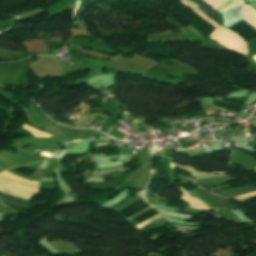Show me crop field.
Returning a JSON list of instances; mask_svg holds the SVG:
<instances>
[{
  "label": "crop field",
  "instance_id": "obj_13",
  "mask_svg": "<svg viewBox=\"0 0 256 256\" xmlns=\"http://www.w3.org/2000/svg\"><path fill=\"white\" fill-rule=\"evenodd\" d=\"M88 1H90V0H83L82 3H86V2H88Z\"/></svg>",
  "mask_w": 256,
  "mask_h": 256
},
{
  "label": "crop field",
  "instance_id": "obj_12",
  "mask_svg": "<svg viewBox=\"0 0 256 256\" xmlns=\"http://www.w3.org/2000/svg\"><path fill=\"white\" fill-rule=\"evenodd\" d=\"M69 2H70V6L72 7L75 3V0H69Z\"/></svg>",
  "mask_w": 256,
  "mask_h": 256
},
{
  "label": "crop field",
  "instance_id": "obj_3",
  "mask_svg": "<svg viewBox=\"0 0 256 256\" xmlns=\"http://www.w3.org/2000/svg\"><path fill=\"white\" fill-rule=\"evenodd\" d=\"M228 29L238 33L239 35L244 37L246 41L256 36V31L243 21Z\"/></svg>",
  "mask_w": 256,
  "mask_h": 256
},
{
  "label": "crop field",
  "instance_id": "obj_5",
  "mask_svg": "<svg viewBox=\"0 0 256 256\" xmlns=\"http://www.w3.org/2000/svg\"><path fill=\"white\" fill-rule=\"evenodd\" d=\"M254 188H256V187L246 186V187H242V188L225 189V190L216 191V192H213V193L224 196V197H228L230 195L238 194L240 192L251 190V189H254Z\"/></svg>",
  "mask_w": 256,
  "mask_h": 256
},
{
  "label": "crop field",
  "instance_id": "obj_6",
  "mask_svg": "<svg viewBox=\"0 0 256 256\" xmlns=\"http://www.w3.org/2000/svg\"><path fill=\"white\" fill-rule=\"evenodd\" d=\"M194 2H196L197 4L201 5L202 7L199 8L201 9L203 12H205L207 15H209L211 18H216L218 16H220L217 12H215L214 10H212L210 7H208L203 1L201 0H192Z\"/></svg>",
  "mask_w": 256,
  "mask_h": 256
},
{
  "label": "crop field",
  "instance_id": "obj_9",
  "mask_svg": "<svg viewBox=\"0 0 256 256\" xmlns=\"http://www.w3.org/2000/svg\"><path fill=\"white\" fill-rule=\"evenodd\" d=\"M155 214H157V212L155 210L151 209L148 212H146V213L140 215L139 217L135 218L134 220H136L137 222L140 223V222L150 218L151 216H153Z\"/></svg>",
  "mask_w": 256,
  "mask_h": 256
},
{
  "label": "crop field",
  "instance_id": "obj_11",
  "mask_svg": "<svg viewBox=\"0 0 256 256\" xmlns=\"http://www.w3.org/2000/svg\"><path fill=\"white\" fill-rule=\"evenodd\" d=\"M146 210H147V209L143 210L142 212H140V213L134 215L133 217H131V218L127 219V220H130V219H132V218H134V217H137L138 215L142 214V213H143L144 211H146Z\"/></svg>",
  "mask_w": 256,
  "mask_h": 256
},
{
  "label": "crop field",
  "instance_id": "obj_2",
  "mask_svg": "<svg viewBox=\"0 0 256 256\" xmlns=\"http://www.w3.org/2000/svg\"><path fill=\"white\" fill-rule=\"evenodd\" d=\"M243 6V5H242ZM242 6L235 7L221 14L225 27H230L240 21H242L241 8Z\"/></svg>",
  "mask_w": 256,
  "mask_h": 256
},
{
  "label": "crop field",
  "instance_id": "obj_7",
  "mask_svg": "<svg viewBox=\"0 0 256 256\" xmlns=\"http://www.w3.org/2000/svg\"><path fill=\"white\" fill-rule=\"evenodd\" d=\"M0 198L5 200V201H8V202H12V203H17V204H20V205H23V206H27L28 204V201L24 200V199H20V198H10L4 194H1L0 193ZM30 202V201H29ZM30 205V203L28 204V206Z\"/></svg>",
  "mask_w": 256,
  "mask_h": 256
},
{
  "label": "crop field",
  "instance_id": "obj_4",
  "mask_svg": "<svg viewBox=\"0 0 256 256\" xmlns=\"http://www.w3.org/2000/svg\"><path fill=\"white\" fill-rule=\"evenodd\" d=\"M148 205L142 201L141 199L138 200L136 203L132 204L131 206L119 211L125 218H128L143 209H145Z\"/></svg>",
  "mask_w": 256,
  "mask_h": 256
},
{
  "label": "crop field",
  "instance_id": "obj_10",
  "mask_svg": "<svg viewBox=\"0 0 256 256\" xmlns=\"http://www.w3.org/2000/svg\"><path fill=\"white\" fill-rule=\"evenodd\" d=\"M15 171L26 174V175H30L34 172V169H30V168H26V167H18V168H14Z\"/></svg>",
  "mask_w": 256,
  "mask_h": 256
},
{
  "label": "crop field",
  "instance_id": "obj_1",
  "mask_svg": "<svg viewBox=\"0 0 256 256\" xmlns=\"http://www.w3.org/2000/svg\"><path fill=\"white\" fill-rule=\"evenodd\" d=\"M194 193H197L201 196H203L204 198H206L209 202H211L212 204L216 205L217 208H228V209H236L232 204L229 203V201L227 199H222L219 197H216L202 189H197L196 191H192ZM237 210V209H236Z\"/></svg>",
  "mask_w": 256,
  "mask_h": 256
},
{
  "label": "crop field",
  "instance_id": "obj_8",
  "mask_svg": "<svg viewBox=\"0 0 256 256\" xmlns=\"http://www.w3.org/2000/svg\"><path fill=\"white\" fill-rule=\"evenodd\" d=\"M213 104L217 105V106H221V107L227 108V109H233L236 112H238L239 110L243 109V107H239V106H236V105H233V104H230V103H226V102H222V101H217V100H215Z\"/></svg>",
  "mask_w": 256,
  "mask_h": 256
}]
</instances>
